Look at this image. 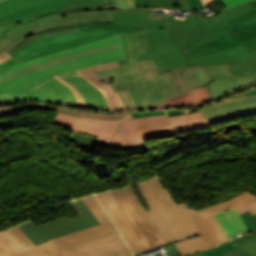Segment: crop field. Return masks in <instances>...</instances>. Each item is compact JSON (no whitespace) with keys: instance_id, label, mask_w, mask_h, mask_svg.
<instances>
[{"instance_id":"crop-field-2","label":"crop field","mask_w":256,"mask_h":256,"mask_svg":"<svg viewBox=\"0 0 256 256\" xmlns=\"http://www.w3.org/2000/svg\"><path fill=\"white\" fill-rule=\"evenodd\" d=\"M71 11L115 9L113 22L146 26L147 53L135 61L150 59L170 53L188 51L215 40L203 22L194 14L174 20L172 14L154 12V9H123L109 5L105 0H66Z\"/></svg>"},{"instance_id":"crop-field-32","label":"crop field","mask_w":256,"mask_h":256,"mask_svg":"<svg viewBox=\"0 0 256 256\" xmlns=\"http://www.w3.org/2000/svg\"><path fill=\"white\" fill-rule=\"evenodd\" d=\"M12 256H65L52 240Z\"/></svg>"},{"instance_id":"crop-field-13","label":"crop field","mask_w":256,"mask_h":256,"mask_svg":"<svg viewBox=\"0 0 256 256\" xmlns=\"http://www.w3.org/2000/svg\"><path fill=\"white\" fill-rule=\"evenodd\" d=\"M205 67L214 80L208 84L214 101L256 85V77L233 78L227 64Z\"/></svg>"},{"instance_id":"crop-field-5","label":"crop field","mask_w":256,"mask_h":256,"mask_svg":"<svg viewBox=\"0 0 256 256\" xmlns=\"http://www.w3.org/2000/svg\"><path fill=\"white\" fill-rule=\"evenodd\" d=\"M58 18L59 20L57 21L9 37L0 43V52L5 50L9 54L41 38L80 31L78 23L107 22L111 24L113 20V10L71 12L59 15Z\"/></svg>"},{"instance_id":"crop-field-24","label":"crop field","mask_w":256,"mask_h":256,"mask_svg":"<svg viewBox=\"0 0 256 256\" xmlns=\"http://www.w3.org/2000/svg\"><path fill=\"white\" fill-rule=\"evenodd\" d=\"M192 66L201 64H222L237 61H247L251 60L249 54L247 53L245 46L235 47L229 50L191 58L189 59Z\"/></svg>"},{"instance_id":"crop-field-57","label":"crop field","mask_w":256,"mask_h":256,"mask_svg":"<svg viewBox=\"0 0 256 256\" xmlns=\"http://www.w3.org/2000/svg\"><path fill=\"white\" fill-rule=\"evenodd\" d=\"M249 54H250V56H251L252 61H253V62L255 63V65H256V50L249 52Z\"/></svg>"},{"instance_id":"crop-field-39","label":"crop field","mask_w":256,"mask_h":256,"mask_svg":"<svg viewBox=\"0 0 256 256\" xmlns=\"http://www.w3.org/2000/svg\"><path fill=\"white\" fill-rule=\"evenodd\" d=\"M255 114H256V110H250V111H245V112H241V113H237V114H232V115H228V116L210 119L208 121L210 124H214L217 122H221V121H225V120H229V119H233V118L251 116V115H255Z\"/></svg>"},{"instance_id":"crop-field-50","label":"crop field","mask_w":256,"mask_h":256,"mask_svg":"<svg viewBox=\"0 0 256 256\" xmlns=\"http://www.w3.org/2000/svg\"><path fill=\"white\" fill-rule=\"evenodd\" d=\"M18 111L25 109V108H42V109H48V110H53L56 111L58 107H50V106H41V105H30V106H17Z\"/></svg>"},{"instance_id":"crop-field-52","label":"crop field","mask_w":256,"mask_h":256,"mask_svg":"<svg viewBox=\"0 0 256 256\" xmlns=\"http://www.w3.org/2000/svg\"><path fill=\"white\" fill-rule=\"evenodd\" d=\"M80 110L77 109H67V108H59L60 113H64V114H68V115H73V116H77Z\"/></svg>"},{"instance_id":"crop-field-12","label":"crop field","mask_w":256,"mask_h":256,"mask_svg":"<svg viewBox=\"0 0 256 256\" xmlns=\"http://www.w3.org/2000/svg\"><path fill=\"white\" fill-rule=\"evenodd\" d=\"M64 7H68L65 0H4L0 2V26Z\"/></svg>"},{"instance_id":"crop-field-44","label":"crop field","mask_w":256,"mask_h":256,"mask_svg":"<svg viewBox=\"0 0 256 256\" xmlns=\"http://www.w3.org/2000/svg\"><path fill=\"white\" fill-rule=\"evenodd\" d=\"M246 221L250 231L256 229V216H252L250 213L242 215Z\"/></svg>"},{"instance_id":"crop-field-31","label":"crop field","mask_w":256,"mask_h":256,"mask_svg":"<svg viewBox=\"0 0 256 256\" xmlns=\"http://www.w3.org/2000/svg\"><path fill=\"white\" fill-rule=\"evenodd\" d=\"M154 61L157 64L159 70L191 66L186 52L154 58Z\"/></svg>"},{"instance_id":"crop-field-1","label":"crop field","mask_w":256,"mask_h":256,"mask_svg":"<svg viewBox=\"0 0 256 256\" xmlns=\"http://www.w3.org/2000/svg\"><path fill=\"white\" fill-rule=\"evenodd\" d=\"M127 60L121 36L22 63L0 73V103L41 100L78 106L70 88L53 76Z\"/></svg>"},{"instance_id":"crop-field-58","label":"crop field","mask_w":256,"mask_h":256,"mask_svg":"<svg viewBox=\"0 0 256 256\" xmlns=\"http://www.w3.org/2000/svg\"><path fill=\"white\" fill-rule=\"evenodd\" d=\"M256 94L254 90H251V91H248V92H245L243 94H240L238 96H235V97H240V96H247V95H254ZM234 98V97H233Z\"/></svg>"},{"instance_id":"crop-field-28","label":"crop field","mask_w":256,"mask_h":256,"mask_svg":"<svg viewBox=\"0 0 256 256\" xmlns=\"http://www.w3.org/2000/svg\"><path fill=\"white\" fill-rule=\"evenodd\" d=\"M169 118L175 133L209 126L201 111Z\"/></svg>"},{"instance_id":"crop-field-15","label":"crop field","mask_w":256,"mask_h":256,"mask_svg":"<svg viewBox=\"0 0 256 256\" xmlns=\"http://www.w3.org/2000/svg\"><path fill=\"white\" fill-rule=\"evenodd\" d=\"M96 197L102 203L108 214L114 220L116 226L124 236L127 244L130 246L133 253L145 251V247L139 236L126 218L119 204L117 203L112 192L96 194Z\"/></svg>"},{"instance_id":"crop-field-47","label":"crop field","mask_w":256,"mask_h":256,"mask_svg":"<svg viewBox=\"0 0 256 256\" xmlns=\"http://www.w3.org/2000/svg\"><path fill=\"white\" fill-rule=\"evenodd\" d=\"M16 112H18L16 106L3 107V108H0V117L1 116L12 115Z\"/></svg>"},{"instance_id":"crop-field-18","label":"crop field","mask_w":256,"mask_h":256,"mask_svg":"<svg viewBox=\"0 0 256 256\" xmlns=\"http://www.w3.org/2000/svg\"><path fill=\"white\" fill-rule=\"evenodd\" d=\"M102 81L106 80L113 89L117 92L121 102L123 103L126 111L137 110L133 99L128 91L131 88L127 76H121L120 69L114 68L105 71L95 72Z\"/></svg>"},{"instance_id":"crop-field-7","label":"crop field","mask_w":256,"mask_h":256,"mask_svg":"<svg viewBox=\"0 0 256 256\" xmlns=\"http://www.w3.org/2000/svg\"><path fill=\"white\" fill-rule=\"evenodd\" d=\"M69 203L79 217L70 219L65 216L39 228L31 221L20 224L18 227L38 245L50 239L99 224L82 199Z\"/></svg>"},{"instance_id":"crop-field-54","label":"crop field","mask_w":256,"mask_h":256,"mask_svg":"<svg viewBox=\"0 0 256 256\" xmlns=\"http://www.w3.org/2000/svg\"><path fill=\"white\" fill-rule=\"evenodd\" d=\"M165 113V111H156V112H148V113H133L135 118L138 117H144V116H150V115H156V114H162Z\"/></svg>"},{"instance_id":"crop-field-26","label":"crop field","mask_w":256,"mask_h":256,"mask_svg":"<svg viewBox=\"0 0 256 256\" xmlns=\"http://www.w3.org/2000/svg\"><path fill=\"white\" fill-rule=\"evenodd\" d=\"M66 76L87 93L95 110L110 111L103 94L96 87L91 85L86 79H84L79 73L74 72L66 74Z\"/></svg>"},{"instance_id":"crop-field-25","label":"crop field","mask_w":256,"mask_h":256,"mask_svg":"<svg viewBox=\"0 0 256 256\" xmlns=\"http://www.w3.org/2000/svg\"><path fill=\"white\" fill-rule=\"evenodd\" d=\"M68 9L69 7L2 26L0 27V42H2L3 40H5L6 38H8L13 34L20 33L28 29H31L33 27L39 26L41 24L57 20L55 12L68 10Z\"/></svg>"},{"instance_id":"crop-field-34","label":"crop field","mask_w":256,"mask_h":256,"mask_svg":"<svg viewBox=\"0 0 256 256\" xmlns=\"http://www.w3.org/2000/svg\"><path fill=\"white\" fill-rule=\"evenodd\" d=\"M234 77L256 76V66L252 61L228 64Z\"/></svg>"},{"instance_id":"crop-field-27","label":"crop field","mask_w":256,"mask_h":256,"mask_svg":"<svg viewBox=\"0 0 256 256\" xmlns=\"http://www.w3.org/2000/svg\"><path fill=\"white\" fill-rule=\"evenodd\" d=\"M256 237V231L243 236L241 238H238L236 240H233L229 243H226L224 245H221L219 247H216L212 250H207V251H203L206 252L207 256H251L248 253H246L245 251H243L242 249H240L239 247L248 242L249 240L253 239ZM200 252V253H203ZM199 254V253H197ZM195 254H191L189 256H193Z\"/></svg>"},{"instance_id":"crop-field-22","label":"crop field","mask_w":256,"mask_h":256,"mask_svg":"<svg viewBox=\"0 0 256 256\" xmlns=\"http://www.w3.org/2000/svg\"><path fill=\"white\" fill-rule=\"evenodd\" d=\"M35 244L17 227L0 233V256H10Z\"/></svg>"},{"instance_id":"crop-field-61","label":"crop field","mask_w":256,"mask_h":256,"mask_svg":"<svg viewBox=\"0 0 256 256\" xmlns=\"http://www.w3.org/2000/svg\"><path fill=\"white\" fill-rule=\"evenodd\" d=\"M168 116H172V115H177L179 114L178 110H173V111H167Z\"/></svg>"},{"instance_id":"crop-field-49","label":"crop field","mask_w":256,"mask_h":256,"mask_svg":"<svg viewBox=\"0 0 256 256\" xmlns=\"http://www.w3.org/2000/svg\"><path fill=\"white\" fill-rule=\"evenodd\" d=\"M244 42L248 52L256 49V37L245 40Z\"/></svg>"},{"instance_id":"crop-field-20","label":"crop field","mask_w":256,"mask_h":256,"mask_svg":"<svg viewBox=\"0 0 256 256\" xmlns=\"http://www.w3.org/2000/svg\"><path fill=\"white\" fill-rule=\"evenodd\" d=\"M118 62L104 64L96 67H90L78 71L84 78H86L90 83L95 85L105 96L112 111H125L122 103L120 102L116 92L111 88V86L106 82H101V80L96 77L92 72L100 71L104 69L118 67Z\"/></svg>"},{"instance_id":"crop-field-40","label":"crop field","mask_w":256,"mask_h":256,"mask_svg":"<svg viewBox=\"0 0 256 256\" xmlns=\"http://www.w3.org/2000/svg\"><path fill=\"white\" fill-rule=\"evenodd\" d=\"M234 36L237 39V41L240 43V45H242L244 44L243 40L256 36V26L234 33Z\"/></svg>"},{"instance_id":"crop-field-42","label":"crop field","mask_w":256,"mask_h":256,"mask_svg":"<svg viewBox=\"0 0 256 256\" xmlns=\"http://www.w3.org/2000/svg\"><path fill=\"white\" fill-rule=\"evenodd\" d=\"M62 78H64L66 81H68L70 84H72L83 96L85 104L87 106V109H93L90 103V100L88 98V96L85 94V92L78 87L75 83H73L71 80H69L67 77H65L64 75L61 76Z\"/></svg>"},{"instance_id":"crop-field-19","label":"crop field","mask_w":256,"mask_h":256,"mask_svg":"<svg viewBox=\"0 0 256 256\" xmlns=\"http://www.w3.org/2000/svg\"><path fill=\"white\" fill-rule=\"evenodd\" d=\"M256 108V95L224 100L202 108L207 119Z\"/></svg>"},{"instance_id":"crop-field-8","label":"crop field","mask_w":256,"mask_h":256,"mask_svg":"<svg viewBox=\"0 0 256 256\" xmlns=\"http://www.w3.org/2000/svg\"><path fill=\"white\" fill-rule=\"evenodd\" d=\"M254 10L250 2L243 4L241 6L235 7L233 9H226L222 11L217 16H214L212 18L204 19L202 18L197 12H193L195 15H197L201 21L205 23V25L208 27V29L212 32V34L215 36L217 40L210 42L208 44L202 45L200 47H197L195 49H192L188 51V57H196L201 56L225 49H229L235 46H239V43L234 38L233 34L229 30L228 27H230V23L228 21L239 17L245 13H248L250 11ZM210 32V33H211Z\"/></svg>"},{"instance_id":"crop-field-30","label":"crop field","mask_w":256,"mask_h":256,"mask_svg":"<svg viewBox=\"0 0 256 256\" xmlns=\"http://www.w3.org/2000/svg\"><path fill=\"white\" fill-rule=\"evenodd\" d=\"M255 201H256V196L246 192V193H244L234 199H231L225 203L211 206L208 208H204L201 210H197V212L200 215V217H202V216L209 215L212 213L228 210L233 207H235L236 209H239V208H241L245 205H248L252 202H255Z\"/></svg>"},{"instance_id":"crop-field-16","label":"crop field","mask_w":256,"mask_h":256,"mask_svg":"<svg viewBox=\"0 0 256 256\" xmlns=\"http://www.w3.org/2000/svg\"><path fill=\"white\" fill-rule=\"evenodd\" d=\"M119 234L120 232L111 221L53 239V241L63 251Z\"/></svg>"},{"instance_id":"crop-field-55","label":"crop field","mask_w":256,"mask_h":256,"mask_svg":"<svg viewBox=\"0 0 256 256\" xmlns=\"http://www.w3.org/2000/svg\"><path fill=\"white\" fill-rule=\"evenodd\" d=\"M169 4H170V8H171V9L180 10V8H181L180 1H179V0L169 1Z\"/></svg>"},{"instance_id":"crop-field-14","label":"crop field","mask_w":256,"mask_h":256,"mask_svg":"<svg viewBox=\"0 0 256 256\" xmlns=\"http://www.w3.org/2000/svg\"><path fill=\"white\" fill-rule=\"evenodd\" d=\"M168 71L174 86L160 89L164 99L207 86V83L212 81L204 65Z\"/></svg>"},{"instance_id":"crop-field-36","label":"crop field","mask_w":256,"mask_h":256,"mask_svg":"<svg viewBox=\"0 0 256 256\" xmlns=\"http://www.w3.org/2000/svg\"><path fill=\"white\" fill-rule=\"evenodd\" d=\"M83 200L87 204V206L90 208V210L93 212V214L96 216V218L99 220L100 223L111 220V218L105 212V210L100 205V203L98 202V200L95 198L94 195L85 197L83 198Z\"/></svg>"},{"instance_id":"crop-field-43","label":"crop field","mask_w":256,"mask_h":256,"mask_svg":"<svg viewBox=\"0 0 256 256\" xmlns=\"http://www.w3.org/2000/svg\"><path fill=\"white\" fill-rule=\"evenodd\" d=\"M240 248H242L249 254L256 256V238L242 245Z\"/></svg>"},{"instance_id":"crop-field-21","label":"crop field","mask_w":256,"mask_h":256,"mask_svg":"<svg viewBox=\"0 0 256 256\" xmlns=\"http://www.w3.org/2000/svg\"><path fill=\"white\" fill-rule=\"evenodd\" d=\"M146 203L150 207L151 210L148 211L150 216L152 217L159 233L164 238L166 243L177 240L174 232L170 228L166 218L164 217L159 205L157 204L147 182L141 185H138ZM150 217V218H151Z\"/></svg>"},{"instance_id":"crop-field-35","label":"crop field","mask_w":256,"mask_h":256,"mask_svg":"<svg viewBox=\"0 0 256 256\" xmlns=\"http://www.w3.org/2000/svg\"><path fill=\"white\" fill-rule=\"evenodd\" d=\"M232 33L256 25V10L230 21Z\"/></svg>"},{"instance_id":"crop-field-64","label":"crop field","mask_w":256,"mask_h":256,"mask_svg":"<svg viewBox=\"0 0 256 256\" xmlns=\"http://www.w3.org/2000/svg\"><path fill=\"white\" fill-rule=\"evenodd\" d=\"M196 256H206V254L204 253V254H200V255H196Z\"/></svg>"},{"instance_id":"crop-field-45","label":"crop field","mask_w":256,"mask_h":256,"mask_svg":"<svg viewBox=\"0 0 256 256\" xmlns=\"http://www.w3.org/2000/svg\"><path fill=\"white\" fill-rule=\"evenodd\" d=\"M228 9L241 5L251 0H220Z\"/></svg>"},{"instance_id":"crop-field-17","label":"crop field","mask_w":256,"mask_h":256,"mask_svg":"<svg viewBox=\"0 0 256 256\" xmlns=\"http://www.w3.org/2000/svg\"><path fill=\"white\" fill-rule=\"evenodd\" d=\"M66 256H127L131 251L122 235L63 251Z\"/></svg>"},{"instance_id":"crop-field-3","label":"crop field","mask_w":256,"mask_h":256,"mask_svg":"<svg viewBox=\"0 0 256 256\" xmlns=\"http://www.w3.org/2000/svg\"><path fill=\"white\" fill-rule=\"evenodd\" d=\"M65 129L99 137L96 145L113 149L146 147L145 137L173 133L165 114L128 120L99 121L57 114Z\"/></svg>"},{"instance_id":"crop-field-23","label":"crop field","mask_w":256,"mask_h":256,"mask_svg":"<svg viewBox=\"0 0 256 256\" xmlns=\"http://www.w3.org/2000/svg\"><path fill=\"white\" fill-rule=\"evenodd\" d=\"M165 104L151 105L152 109L201 106L211 102L207 87L197 88L187 94L164 100Z\"/></svg>"},{"instance_id":"crop-field-53","label":"crop field","mask_w":256,"mask_h":256,"mask_svg":"<svg viewBox=\"0 0 256 256\" xmlns=\"http://www.w3.org/2000/svg\"><path fill=\"white\" fill-rule=\"evenodd\" d=\"M163 248L166 250L168 256L170 255H174V254H178V251L176 250L175 246L173 245V243L168 244L166 246H163ZM164 250V251H165Z\"/></svg>"},{"instance_id":"crop-field-67","label":"crop field","mask_w":256,"mask_h":256,"mask_svg":"<svg viewBox=\"0 0 256 256\" xmlns=\"http://www.w3.org/2000/svg\"><path fill=\"white\" fill-rule=\"evenodd\" d=\"M131 256H133V255H131Z\"/></svg>"},{"instance_id":"crop-field-4","label":"crop field","mask_w":256,"mask_h":256,"mask_svg":"<svg viewBox=\"0 0 256 256\" xmlns=\"http://www.w3.org/2000/svg\"><path fill=\"white\" fill-rule=\"evenodd\" d=\"M128 64L120 65L122 75L127 74L130 90L138 110H150V104L164 103L159 88L173 85L167 70L159 71L153 59L134 62L137 54L146 52L143 31L121 35Z\"/></svg>"},{"instance_id":"crop-field-29","label":"crop field","mask_w":256,"mask_h":256,"mask_svg":"<svg viewBox=\"0 0 256 256\" xmlns=\"http://www.w3.org/2000/svg\"><path fill=\"white\" fill-rule=\"evenodd\" d=\"M227 237L248 230L238 211L233 208L228 211L215 214Z\"/></svg>"},{"instance_id":"crop-field-48","label":"crop field","mask_w":256,"mask_h":256,"mask_svg":"<svg viewBox=\"0 0 256 256\" xmlns=\"http://www.w3.org/2000/svg\"><path fill=\"white\" fill-rule=\"evenodd\" d=\"M238 211H239L240 215L244 214V213H246L248 211H250V213L252 215H255L256 214V202L252 203V204H250L248 206H245V207L239 209Z\"/></svg>"},{"instance_id":"crop-field-10","label":"crop field","mask_w":256,"mask_h":256,"mask_svg":"<svg viewBox=\"0 0 256 256\" xmlns=\"http://www.w3.org/2000/svg\"><path fill=\"white\" fill-rule=\"evenodd\" d=\"M147 182L179 241L200 235L183 205L174 202L169 191L160 182V178L154 177Z\"/></svg>"},{"instance_id":"crop-field-46","label":"crop field","mask_w":256,"mask_h":256,"mask_svg":"<svg viewBox=\"0 0 256 256\" xmlns=\"http://www.w3.org/2000/svg\"><path fill=\"white\" fill-rule=\"evenodd\" d=\"M114 4L122 7H137L134 0H112Z\"/></svg>"},{"instance_id":"crop-field-38","label":"crop field","mask_w":256,"mask_h":256,"mask_svg":"<svg viewBox=\"0 0 256 256\" xmlns=\"http://www.w3.org/2000/svg\"><path fill=\"white\" fill-rule=\"evenodd\" d=\"M138 7H148L149 5H156L157 8H169L167 0H135Z\"/></svg>"},{"instance_id":"crop-field-37","label":"crop field","mask_w":256,"mask_h":256,"mask_svg":"<svg viewBox=\"0 0 256 256\" xmlns=\"http://www.w3.org/2000/svg\"><path fill=\"white\" fill-rule=\"evenodd\" d=\"M78 116L88 117L93 119H100V120H116V119H128L134 118L132 113L128 114H100V113H93L89 111L81 110Z\"/></svg>"},{"instance_id":"crop-field-51","label":"crop field","mask_w":256,"mask_h":256,"mask_svg":"<svg viewBox=\"0 0 256 256\" xmlns=\"http://www.w3.org/2000/svg\"><path fill=\"white\" fill-rule=\"evenodd\" d=\"M188 2H189V5H190V7H191L192 10H201V9H205L204 6H203V4H202V2H201V0H188ZM197 5H198L199 8H196V7H195V6H197Z\"/></svg>"},{"instance_id":"crop-field-62","label":"crop field","mask_w":256,"mask_h":256,"mask_svg":"<svg viewBox=\"0 0 256 256\" xmlns=\"http://www.w3.org/2000/svg\"><path fill=\"white\" fill-rule=\"evenodd\" d=\"M30 102H41V101H30ZM20 103H26V102H20ZM46 103H51V102H46ZM10 104H13V103H10ZM55 104H57V103H55ZM0 105H4V104H0ZM61 105H63V104H61Z\"/></svg>"},{"instance_id":"crop-field-9","label":"crop field","mask_w":256,"mask_h":256,"mask_svg":"<svg viewBox=\"0 0 256 256\" xmlns=\"http://www.w3.org/2000/svg\"><path fill=\"white\" fill-rule=\"evenodd\" d=\"M118 203L143 241L146 249L165 243L146 209L129 187L113 191Z\"/></svg>"},{"instance_id":"crop-field-65","label":"crop field","mask_w":256,"mask_h":256,"mask_svg":"<svg viewBox=\"0 0 256 256\" xmlns=\"http://www.w3.org/2000/svg\"><path fill=\"white\" fill-rule=\"evenodd\" d=\"M108 1H109L110 3H112L111 0H108ZM112 4H113V3H112Z\"/></svg>"},{"instance_id":"crop-field-59","label":"crop field","mask_w":256,"mask_h":256,"mask_svg":"<svg viewBox=\"0 0 256 256\" xmlns=\"http://www.w3.org/2000/svg\"><path fill=\"white\" fill-rule=\"evenodd\" d=\"M203 1V3H204V5H205V7L207 8L208 6H210L213 2H214V0H202Z\"/></svg>"},{"instance_id":"crop-field-41","label":"crop field","mask_w":256,"mask_h":256,"mask_svg":"<svg viewBox=\"0 0 256 256\" xmlns=\"http://www.w3.org/2000/svg\"><path fill=\"white\" fill-rule=\"evenodd\" d=\"M56 78L73 90V92L75 93V95L78 99L79 107L86 109V106L84 104L81 94L73 86H71L69 83H67L65 80H63L61 77L56 76Z\"/></svg>"},{"instance_id":"crop-field-63","label":"crop field","mask_w":256,"mask_h":256,"mask_svg":"<svg viewBox=\"0 0 256 256\" xmlns=\"http://www.w3.org/2000/svg\"><path fill=\"white\" fill-rule=\"evenodd\" d=\"M251 4L254 6V8L256 9V0L251 1Z\"/></svg>"},{"instance_id":"crop-field-6","label":"crop field","mask_w":256,"mask_h":256,"mask_svg":"<svg viewBox=\"0 0 256 256\" xmlns=\"http://www.w3.org/2000/svg\"><path fill=\"white\" fill-rule=\"evenodd\" d=\"M120 33L124 32L94 30L63 34L55 37L41 39L9 54L13 58L3 63H0V72L23 61L72 49L90 43L92 41Z\"/></svg>"},{"instance_id":"crop-field-66","label":"crop field","mask_w":256,"mask_h":256,"mask_svg":"<svg viewBox=\"0 0 256 256\" xmlns=\"http://www.w3.org/2000/svg\"><path fill=\"white\" fill-rule=\"evenodd\" d=\"M256 91V89H254Z\"/></svg>"},{"instance_id":"crop-field-11","label":"crop field","mask_w":256,"mask_h":256,"mask_svg":"<svg viewBox=\"0 0 256 256\" xmlns=\"http://www.w3.org/2000/svg\"><path fill=\"white\" fill-rule=\"evenodd\" d=\"M183 205L202 235L184 241L174 242L181 256L228 241L214 214L200 218L195 209H190L186 203H183Z\"/></svg>"},{"instance_id":"crop-field-56","label":"crop field","mask_w":256,"mask_h":256,"mask_svg":"<svg viewBox=\"0 0 256 256\" xmlns=\"http://www.w3.org/2000/svg\"><path fill=\"white\" fill-rule=\"evenodd\" d=\"M9 58L11 57L5 51L0 53V62H3Z\"/></svg>"},{"instance_id":"crop-field-60","label":"crop field","mask_w":256,"mask_h":256,"mask_svg":"<svg viewBox=\"0 0 256 256\" xmlns=\"http://www.w3.org/2000/svg\"><path fill=\"white\" fill-rule=\"evenodd\" d=\"M182 4H183L184 10H190V7H189V5H188L186 0H182Z\"/></svg>"},{"instance_id":"crop-field-33","label":"crop field","mask_w":256,"mask_h":256,"mask_svg":"<svg viewBox=\"0 0 256 256\" xmlns=\"http://www.w3.org/2000/svg\"><path fill=\"white\" fill-rule=\"evenodd\" d=\"M81 31L85 30H94V29H102V30H112V31H139L145 30V27L142 26H134V25H126V24H117L113 23L112 25L106 23H82L79 24Z\"/></svg>"}]
</instances>
